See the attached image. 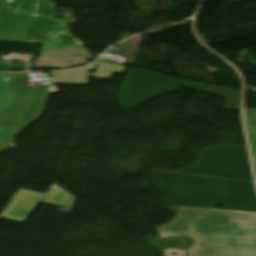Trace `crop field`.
<instances>
[{
  "mask_svg": "<svg viewBox=\"0 0 256 256\" xmlns=\"http://www.w3.org/2000/svg\"><path fill=\"white\" fill-rule=\"evenodd\" d=\"M6 1L0 0V41L80 45L60 38L69 34L63 20L53 19L57 4L51 0H15L14 13H7L11 4Z\"/></svg>",
  "mask_w": 256,
  "mask_h": 256,
  "instance_id": "ac0d7876",
  "label": "crop field"
},
{
  "mask_svg": "<svg viewBox=\"0 0 256 256\" xmlns=\"http://www.w3.org/2000/svg\"><path fill=\"white\" fill-rule=\"evenodd\" d=\"M0 95V151L14 138L19 130L39 116L49 85H8Z\"/></svg>",
  "mask_w": 256,
  "mask_h": 256,
  "instance_id": "34b2d1b8",
  "label": "crop field"
},
{
  "mask_svg": "<svg viewBox=\"0 0 256 256\" xmlns=\"http://www.w3.org/2000/svg\"><path fill=\"white\" fill-rule=\"evenodd\" d=\"M74 199L55 184L46 195L20 189L0 214V219L23 223L38 202L71 209Z\"/></svg>",
  "mask_w": 256,
  "mask_h": 256,
  "instance_id": "412701ff",
  "label": "crop field"
},
{
  "mask_svg": "<svg viewBox=\"0 0 256 256\" xmlns=\"http://www.w3.org/2000/svg\"><path fill=\"white\" fill-rule=\"evenodd\" d=\"M6 74H7V73H0V88H1V86H2V84H3V81H4V79H5Z\"/></svg>",
  "mask_w": 256,
  "mask_h": 256,
  "instance_id": "d8731c3e",
  "label": "crop field"
},
{
  "mask_svg": "<svg viewBox=\"0 0 256 256\" xmlns=\"http://www.w3.org/2000/svg\"><path fill=\"white\" fill-rule=\"evenodd\" d=\"M246 127L253 158H256V110H245Z\"/></svg>",
  "mask_w": 256,
  "mask_h": 256,
  "instance_id": "e52e79f7",
  "label": "crop field"
},
{
  "mask_svg": "<svg viewBox=\"0 0 256 256\" xmlns=\"http://www.w3.org/2000/svg\"><path fill=\"white\" fill-rule=\"evenodd\" d=\"M162 237L189 236L185 256H256V213L180 207Z\"/></svg>",
  "mask_w": 256,
  "mask_h": 256,
  "instance_id": "8a807250",
  "label": "crop field"
},
{
  "mask_svg": "<svg viewBox=\"0 0 256 256\" xmlns=\"http://www.w3.org/2000/svg\"><path fill=\"white\" fill-rule=\"evenodd\" d=\"M43 45L36 68H70L92 59L83 46Z\"/></svg>",
  "mask_w": 256,
  "mask_h": 256,
  "instance_id": "f4fd0767",
  "label": "crop field"
},
{
  "mask_svg": "<svg viewBox=\"0 0 256 256\" xmlns=\"http://www.w3.org/2000/svg\"><path fill=\"white\" fill-rule=\"evenodd\" d=\"M95 71L89 74L87 67L68 72H55L52 84L88 85L89 75L96 79L110 78L113 73L122 74L127 68L125 66L110 63H95Z\"/></svg>",
  "mask_w": 256,
  "mask_h": 256,
  "instance_id": "dd49c442",
  "label": "crop field"
},
{
  "mask_svg": "<svg viewBox=\"0 0 256 256\" xmlns=\"http://www.w3.org/2000/svg\"><path fill=\"white\" fill-rule=\"evenodd\" d=\"M253 162H254L255 173H256V160H253Z\"/></svg>",
  "mask_w": 256,
  "mask_h": 256,
  "instance_id": "5a996713",
  "label": "crop field"
}]
</instances>
